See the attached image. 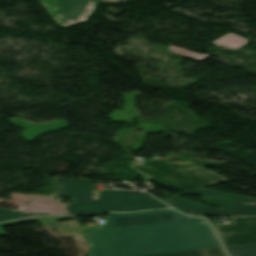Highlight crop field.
Segmentation results:
<instances>
[{
	"mask_svg": "<svg viewBox=\"0 0 256 256\" xmlns=\"http://www.w3.org/2000/svg\"><path fill=\"white\" fill-rule=\"evenodd\" d=\"M86 232L90 256H136L220 246L206 220L174 210L110 213L102 231Z\"/></svg>",
	"mask_w": 256,
	"mask_h": 256,
	"instance_id": "1",
	"label": "crop field"
},
{
	"mask_svg": "<svg viewBox=\"0 0 256 256\" xmlns=\"http://www.w3.org/2000/svg\"><path fill=\"white\" fill-rule=\"evenodd\" d=\"M93 188L94 184L88 180L55 177L53 192L58 194L53 195V199L66 196L75 201L65 204L66 215L168 207L145 192L133 195L134 191L103 192L93 191Z\"/></svg>",
	"mask_w": 256,
	"mask_h": 256,
	"instance_id": "2",
	"label": "crop field"
},
{
	"mask_svg": "<svg viewBox=\"0 0 256 256\" xmlns=\"http://www.w3.org/2000/svg\"><path fill=\"white\" fill-rule=\"evenodd\" d=\"M135 168L150 175L154 181L182 192L229 181L178 156L158 158Z\"/></svg>",
	"mask_w": 256,
	"mask_h": 256,
	"instance_id": "3",
	"label": "crop field"
},
{
	"mask_svg": "<svg viewBox=\"0 0 256 256\" xmlns=\"http://www.w3.org/2000/svg\"><path fill=\"white\" fill-rule=\"evenodd\" d=\"M183 194H200L203 200L217 204L221 208H213L193 200L179 197V195ZM179 195L162 199L187 214L192 215H256V199L254 198L206 188Z\"/></svg>",
	"mask_w": 256,
	"mask_h": 256,
	"instance_id": "4",
	"label": "crop field"
},
{
	"mask_svg": "<svg viewBox=\"0 0 256 256\" xmlns=\"http://www.w3.org/2000/svg\"><path fill=\"white\" fill-rule=\"evenodd\" d=\"M50 15L63 28L87 20L98 0H42ZM127 0H100L101 3Z\"/></svg>",
	"mask_w": 256,
	"mask_h": 256,
	"instance_id": "5",
	"label": "crop field"
},
{
	"mask_svg": "<svg viewBox=\"0 0 256 256\" xmlns=\"http://www.w3.org/2000/svg\"><path fill=\"white\" fill-rule=\"evenodd\" d=\"M231 217L234 224L214 227L224 246L255 244L256 216Z\"/></svg>",
	"mask_w": 256,
	"mask_h": 256,
	"instance_id": "6",
	"label": "crop field"
},
{
	"mask_svg": "<svg viewBox=\"0 0 256 256\" xmlns=\"http://www.w3.org/2000/svg\"><path fill=\"white\" fill-rule=\"evenodd\" d=\"M144 256H228L223 247L176 251Z\"/></svg>",
	"mask_w": 256,
	"mask_h": 256,
	"instance_id": "7",
	"label": "crop field"
},
{
	"mask_svg": "<svg viewBox=\"0 0 256 256\" xmlns=\"http://www.w3.org/2000/svg\"><path fill=\"white\" fill-rule=\"evenodd\" d=\"M51 215L50 213H26L24 211H11L0 207V221L18 219L30 216Z\"/></svg>",
	"mask_w": 256,
	"mask_h": 256,
	"instance_id": "8",
	"label": "crop field"
},
{
	"mask_svg": "<svg viewBox=\"0 0 256 256\" xmlns=\"http://www.w3.org/2000/svg\"><path fill=\"white\" fill-rule=\"evenodd\" d=\"M225 36V35H224ZM247 43V40L238 37L232 33H229L225 37L213 42L212 44L225 46V47H231L237 49L241 45Z\"/></svg>",
	"mask_w": 256,
	"mask_h": 256,
	"instance_id": "9",
	"label": "crop field"
},
{
	"mask_svg": "<svg viewBox=\"0 0 256 256\" xmlns=\"http://www.w3.org/2000/svg\"><path fill=\"white\" fill-rule=\"evenodd\" d=\"M227 248L232 256H256V244L231 246Z\"/></svg>",
	"mask_w": 256,
	"mask_h": 256,
	"instance_id": "10",
	"label": "crop field"
},
{
	"mask_svg": "<svg viewBox=\"0 0 256 256\" xmlns=\"http://www.w3.org/2000/svg\"><path fill=\"white\" fill-rule=\"evenodd\" d=\"M66 219H73V217L31 218V219L13 221V222H8V223H2V224H0V235L6 234L1 228V226H5V225L17 224V223H22V222H27V221H32V220H36L42 224L49 225V224L57 222V220H66Z\"/></svg>",
	"mask_w": 256,
	"mask_h": 256,
	"instance_id": "11",
	"label": "crop field"
},
{
	"mask_svg": "<svg viewBox=\"0 0 256 256\" xmlns=\"http://www.w3.org/2000/svg\"><path fill=\"white\" fill-rule=\"evenodd\" d=\"M169 50L172 51V52L180 53L182 55H186V56H189V57L197 58L199 60L209 56V55H200V54L193 53V52H190V51H187V50H183V49H180V48H177V47H173V46H170Z\"/></svg>",
	"mask_w": 256,
	"mask_h": 256,
	"instance_id": "12",
	"label": "crop field"
},
{
	"mask_svg": "<svg viewBox=\"0 0 256 256\" xmlns=\"http://www.w3.org/2000/svg\"><path fill=\"white\" fill-rule=\"evenodd\" d=\"M140 176H142L143 178V180H147V181H149V177L148 176H146V175H144L143 173H141V172H139V171H136Z\"/></svg>",
	"mask_w": 256,
	"mask_h": 256,
	"instance_id": "13",
	"label": "crop field"
},
{
	"mask_svg": "<svg viewBox=\"0 0 256 256\" xmlns=\"http://www.w3.org/2000/svg\"><path fill=\"white\" fill-rule=\"evenodd\" d=\"M176 209V208H175ZM178 210V209H177ZM180 211V210H179ZM182 212V211H181ZM201 217H204V218H206L205 216H201Z\"/></svg>",
	"mask_w": 256,
	"mask_h": 256,
	"instance_id": "14",
	"label": "crop field"
}]
</instances>
